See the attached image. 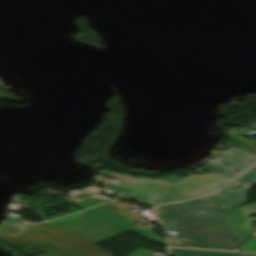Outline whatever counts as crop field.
<instances>
[{
	"mask_svg": "<svg viewBox=\"0 0 256 256\" xmlns=\"http://www.w3.org/2000/svg\"><path fill=\"white\" fill-rule=\"evenodd\" d=\"M129 256H165V255L140 248L137 251L130 254Z\"/></svg>",
	"mask_w": 256,
	"mask_h": 256,
	"instance_id": "obj_14",
	"label": "crop field"
},
{
	"mask_svg": "<svg viewBox=\"0 0 256 256\" xmlns=\"http://www.w3.org/2000/svg\"><path fill=\"white\" fill-rule=\"evenodd\" d=\"M76 206H79L83 209L88 208V207H92L104 202H108L111 201L110 198H107L105 196L102 195H97V194H92V193H81L78 195H75L73 197L64 199Z\"/></svg>",
	"mask_w": 256,
	"mask_h": 256,
	"instance_id": "obj_7",
	"label": "crop field"
},
{
	"mask_svg": "<svg viewBox=\"0 0 256 256\" xmlns=\"http://www.w3.org/2000/svg\"><path fill=\"white\" fill-rule=\"evenodd\" d=\"M166 177L183 199L204 195L216 190L231 180L217 173H211L203 176H192L182 179H179L176 175Z\"/></svg>",
	"mask_w": 256,
	"mask_h": 256,
	"instance_id": "obj_4",
	"label": "crop field"
},
{
	"mask_svg": "<svg viewBox=\"0 0 256 256\" xmlns=\"http://www.w3.org/2000/svg\"><path fill=\"white\" fill-rule=\"evenodd\" d=\"M83 191H88V192H92V193L101 194V189H99L97 187L86 188V189H83Z\"/></svg>",
	"mask_w": 256,
	"mask_h": 256,
	"instance_id": "obj_15",
	"label": "crop field"
},
{
	"mask_svg": "<svg viewBox=\"0 0 256 256\" xmlns=\"http://www.w3.org/2000/svg\"><path fill=\"white\" fill-rule=\"evenodd\" d=\"M44 224L73 232L97 244L126 232L87 211Z\"/></svg>",
	"mask_w": 256,
	"mask_h": 256,
	"instance_id": "obj_3",
	"label": "crop field"
},
{
	"mask_svg": "<svg viewBox=\"0 0 256 256\" xmlns=\"http://www.w3.org/2000/svg\"><path fill=\"white\" fill-rule=\"evenodd\" d=\"M217 151H219V152H221L223 154H226V155H228L230 157H233L235 159H238V160H240L242 162H245V163H247L249 165H251L254 162H256V157H254L252 155H249V154H247L245 152H242L240 150H237V149H235L233 147H231L229 149H226L224 151H220V150H217Z\"/></svg>",
	"mask_w": 256,
	"mask_h": 256,
	"instance_id": "obj_9",
	"label": "crop field"
},
{
	"mask_svg": "<svg viewBox=\"0 0 256 256\" xmlns=\"http://www.w3.org/2000/svg\"><path fill=\"white\" fill-rule=\"evenodd\" d=\"M255 213L256 203L223 212L237 246L244 242L254 232L251 222L256 221V218H251L248 215Z\"/></svg>",
	"mask_w": 256,
	"mask_h": 256,
	"instance_id": "obj_5",
	"label": "crop field"
},
{
	"mask_svg": "<svg viewBox=\"0 0 256 256\" xmlns=\"http://www.w3.org/2000/svg\"><path fill=\"white\" fill-rule=\"evenodd\" d=\"M254 236H256V234Z\"/></svg>",
	"mask_w": 256,
	"mask_h": 256,
	"instance_id": "obj_16",
	"label": "crop field"
},
{
	"mask_svg": "<svg viewBox=\"0 0 256 256\" xmlns=\"http://www.w3.org/2000/svg\"><path fill=\"white\" fill-rule=\"evenodd\" d=\"M205 166L210 167L211 169H213V170H215L219 173H222V174H224L228 177H234L237 174H239V173H237V172H235V171H233V170H231V169H229L225 166H222V165L214 163V162L208 163Z\"/></svg>",
	"mask_w": 256,
	"mask_h": 256,
	"instance_id": "obj_11",
	"label": "crop field"
},
{
	"mask_svg": "<svg viewBox=\"0 0 256 256\" xmlns=\"http://www.w3.org/2000/svg\"><path fill=\"white\" fill-rule=\"evenodd\" d=\"M171 256H241L240 253L171 249Z\"/></svg>",
	"mask_w": 256,
	"mask_h": 256,
	"instance_id": "obj_8",
	"label": "crop field"
},
{
	"mask_svg": "<svg viewBox=\"0 0 256 256\" xmlns=\"http://www.w3.org/2000/svg\"><path fill=\"white\" fill-rule=\"evenodd\" d=\"M223 155V154H222ZM219 163H221V164H223V163H225V164H228L227 166L228 167H230V168H233V169H235V170H241V171H243L245 168H247L249 165H247V164H245V163H242V162H240V161H237V160H235V159H233V158H230V157H228V156H226V155H223L222 156V158H221V160H220V162ZM241 171H239V172H241Z\"/></svg>",
	"mask_w": 256,
	"mask_h": 256,
	"instance_id": "obj_10",
	"label": "crop field"
},
{
	"mask_svg": "<svg viewBox=\"0 0 256 256\" xmlns=\"http://www.w3.org/2000/svg\"><path fill=\"white\" fill-rule=\"evenodd\" d=\"M238 185L242 188H236ZM252 186L234 180L211 196L158 207L155 212L159 221L167 231L176 233L170 236L171 246L235 250L221 210L247 202V191Z\"/></svg>",
	"mask_w": 256,
	"mask_h": 256,
	"instance_id": "obj_1",
	"label": "crop field"
},
{
	"mask_svg": "<svg viewBox=\"0 0 256 256\" xmlns=\"http://www.w3.org/2000/svg\"><path fill=\"white\" fill-rule=\"evenodd\" d=\"M240 251L256 252V237L247 242ZM242 256H256V254L242 253Z\"/></svg>",
	"mask_w": 256,
	"mask_h": 256,
	"instance_id": "obj_13",
	"label": "crop field"
},
{
	"mask_svg": "<svg viewBox=\"0 0 256 256\" xmlns=\"http://www.w3.org/2000/svg\"><path fill=\"white\" fill-rule=\"evenodd\" d=\"M87 211L97 215V216H100L112 223H115L125 229H128L138 235H141L147 239H150L152 241H155V242H158L160 244H163L165 245L166 244V241L160 239L159 237H157L156 235L146 231L145 229L137 226L136 224L126 220L124 217L102 207V206H99V207H95V208H92V209H88Z\"/></svg>",
	"mask_w": 256,
	"mask_h": 256,
	"instance_id": "obj_6",
	"label": "crop field"
},
{
	"mask_svg": "<svg viewBox=\"0 0 256 256\" xmlns=\"http://www.w3.org/2000/svg\"><path fill=\"white\" fill-rule=\"evenodd\" d=\"M98 173H106L112 178L120 179L121 185L105 184L107 190L113 191L114 196L119 199H135L148 206L181 200L165 178L157 180L145 177L133 178L108 171H98Z\"/></svg>",
	"mask_w": 256,
	"mask_h": 256,
	"instance_id": "obj_2",
	"label": "crop field"
},
{
	"mask_svg": "<svg viewBox=\"0 0 256 256\" xmlns=\"http://www.w3.org/2000/svg\"><path fill=\"white\" fill-rule=\"evenodd\" d=\"M235 180L256 185V166L249 169L247 172H245L243 175Z\"/></svg>",
	"mask_w": 256,
	"mask_h": 256,
	"instance_id": "obj_12",
	"label": "crop field"
}]
</instances>
